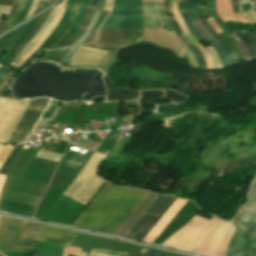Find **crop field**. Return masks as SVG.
Returning a JSON list of instances; mask_svg holds the SVG:
<instances>
[{"instance_id": "obj_1", "label": "crop field", "mask_w": 256, "mask_h": 256, "mask_svg": "<svg viewBox=\"0 0 256 256\" xmlns=\"http://www.w3.org/2000/svg\"><path fill=\"white\" fill-rule=\"evenodd\" d=\"M146 193L106 183L72 226L113 235Z\"/></svg>"}, {"instance_id": "obj_2", "label": "crop field", "mask_w": 256, "mask_h": 256, "mask_svg": "<svg viewBox=\"0 0 256 256\" xmlns=\"http://www.w3.org/2000/svg\"><path fill=\"white\" fill-rule=\"evenodd\" d=\"M103 155V154H102ZM100 153L94 152L93 156L74 179V181L66 188L63 194L75 199L76 201L86 205L97 190L102 186L104 181L95 175L97 164L104 157Z\"/></svg>"}, {"instance_id": "obj_3", "label": "crop field", "mask_w": 256, "mask_h": 256, "mask_svg": "<svg viewBox=\"0 0 256 256\" xmlns=\"http://www.w3.org/2000/svg\"><path fill=\"white\" fill-rule=\"evenodd\" d=\"M193 1L194 3L192 4ZM199 3L200 0H186V8L189 12L192 22L196 26L197 30L202 34V36L208 40L216 49L221 59L222 67L228 64H230V66L233 65L236 63V61L232 55L229 45L220 36L217 35V33L212 29L206 19H204L199 8ZM225 55L228 60L226 59Z\"/></svg>"}, {"instance_id": "obj_4", "label": "crop field", "mask_w": 256, "mask_h": 256, "mask_svg": "<svg viewBox=\"0 0 256 256\" xmlns=\"http://www.w3.org/2000/svg\"><path fill=\"white\" fill-rule=\"evenodd\" d=\"M240 224L256 227V214L247 213ZM241 225L229 243V256H256V228Z\"/></svg>"}, {"instance_id": "obj_5", "label": "crop field", "mask_w": 256, "mask_h": 256, "mask_svg": "<svg viewBox=\"0 0 256 256\" xmlns=\"http://www.w3.org/2000/svg\"><path fill=\"white\" fill-rule=\"evenodd\" d=\"M30 101L31 100L25 102H18L15 106V101L0 98V131L2 130L5 122L7 121L15 106L12 114L10 115L7 123L5 124L3 130L0 133L1 143L8 144Z\"/></svg>"}, {"instance_id": "obj_6", "label": "crop field", "mask_w": 256, "mask_h": 256, "mask_svg": "<svg viewBox=\"0 0 256 256\" xmlns=\"http://www.w3.org/2000/svg\"><path fill=\"white\" fill-rule=\"evenodd\" d=\"M176 199L173 196L161 195L127 238L143 241Z\"/></svg>"}, {"instance_id": "obj_7", "label": "crop field", "mask_w": 256, "mask_h": 256, "mask_svg": "<svg viewBox=\"0 0 256 256\" xmlns=\"http://www.w3.org/2000/svg\"><path fill=\"white\" fill-rule=\"evenodd\" d=\"M47 101L48 99L32 100L25 116L23 117L16 131L17 135L12 144L26 141L29 132L34 127L38 118L43 112Z\"/></svg>"}, {"instance_id": "obj_8", "label": "crop field", "mask_w": 256, "mask_h": 256, "mask_svg": "<svg viewBox=\"0 0 256 256\" xmlns=\"http://www.w3.org/2000/svg\"><path fill=\"white\" fill-rule=\"evenodd\" d=\"M158 196L159 194L148 192L114 235L125 237Z\"/></svg>"}, {"instance_id": "obj_9", "label": "crop field", "mask_w": 256, "mask_h": 256, "mask_svg": "<svg viewBox=\"0 0 256 256\" xmlns=\"http://www.w3.org/2000/svg\"><path fill=\"white\" fill-rule=\"evenodd\" d=\"M144 39L142 31L128 30H101L99 29L98 38L102 42L111 43H131Z\"/></svg>"}, {"instance_id": "obj_10", "label": "crop field", "mask_w": 256, "mask_h": 256, "mask_svg": "<svg viewBox=\"0 0 256 256\" xmlns=\"http://www.w3.org/2000/svg\"><path fill=\"white\" fill-rule=\"evenodd\" d=\"M107 51L79 47L68 65L98 66Z\"/></svg>"}, {"instance_id": "obj_11", "label": "crop field", "mask_w": 256, "mask_h": 256, "mask_svg": "<svg viewBox=\"0 0 256 256\" xmlns=\"http://www.w3.org/2000/svg\"><path fill=\"white\" fill-rule=\"evenodd\" d=\"M75 235H76L75 232L45 226V228L43 229L38 239L63 245V246H67L71 244Z\"/></svg>"}, {"instance_id": "obj_12", "label": "crop field", "mask_w": 256, "mask_h": 256, "mask_svg": "<svg viewBox=\"0 0 256 256\" xmlns=\"http://www.w3.org/2000/svg\"><path fill=\"white\" fill-rule=\"evenodd\" d=\"M101 28L142 30V17L108 16Z\"/></svg>"}, {"instance_id": "obj_13", "label": "crop field", "mask_w": 256, "mask_h": 256, "mask_svg": "<svg viewBox=\"0 0 256 256\" xmlns=\"http://www.w3.org/2000/svg\"><path fill=\"white\" fill-rule=\"evenodd\" d=\"M164 10H165V14L172 26V28L174 29V31L176 32L177 36L179 37V39L187 46V48L193 53V55L195 56L198 66L199 67H203L206 68L205 62L203 60V57L200 53V51L197 49V47L190 41L188 40L182 33L181 29L179 28L177 22L175 21L171 9H170V5L169 4H164Z\"/></svg>"}, {"instance_id": "obj_14", "label": "crop field", "mask_w": 256, "mask_h": 256, "mask_svg": "<svg viewBox=\"0 0 256 256\" xmlns=\"http://www.w3.org/2000/svg\"><path fill=\"white\" fill-rule=\"evenodd\" d=\"M110 15L142 16L141 0H114Z\"/></svg>"}, {"instance_id": "obj_15", "label": "crop field", "mask_w": 256, "mask_h": 256, "mask_svg": "<svg viewBox=\"0 0 256 256\" xmlns=\"http://www.w3.org/2000/svg\"><path fill=\"white\" fill-rule=\"evenodd\" d=\"M60 6L61 5L59 3L57 6H55L52 9V11H51L50 15L48 16V18L46 19L44 25L41 27V29L38 31V33L33 37V39L26 45V47L17 55V57L15 58V60L13 61V63L11 65L16 67V65L20 62V60L25 55V53L41 38V36L44 34L46 29L50 26L51 22L56 17Z\"/></svg>"}, {"instance_id": "obj_16", "label": "crop field", "mask_w": 256, "mask_h": 256, "mask_svg": "<svg viewBox=\"0 0 256 256\" xmlns=\"http://www.w3.org/2000/svg\"><path fill=\"white\" fill-rule=\"evenodd\" d=\"M255 210H256V179L250 186V195H249L248 204L241 208L238 215L234 220L231 221V223L237 226L247 212L254 213Z\"/></svg>"}, {"instance_id": "obj_17", "label": "crop field", "mask_w": 256, "mask_h": 256, "mask_svg": "<svg viewBox=\"0 0 256 256\" xmlns=\"http://www.w3.org/2000/svg\"><path fill=\"white\" fill-rule=\"evenodd\" d=\"M143 7V27L160 26L155 3H142Z\"/></svg>"}, {"instance_id": "obj_18", "label": "crop field", "mask_w": 256, "mask_h": 256, "mask_svg": "<svg viewBox=\"0 0 256 256\" xmlns=\"http://www.w3.org/2000/svg\"><path fill=\"white\" fill-rule=\"evenodd\" d=\"M73 7H67L65 10V13L63 15V18L58 23L57 27L51 32V34L47 37V39L44 41V43L40 46V48L33 53V55L28 60H34L35 56L42 50L45 49V47L48 45V43L63 29L70 13Z\"/></svg>"}, {"instance_id": "obj_19", "label": "crop field", "mask_w": 256, "mask_h": 256, "mask_svg": "<svg viewBox=\"0 0 256 256\" xmlns=\"http://www.w3.org/2000/svg\"><path fill=\"white\" fill-rule=\"evenodd\" d=\"M177 6H178V9H179V12L182 16V18L184 19L185 23L187 24L190 32L194 35V37L199 40L201 38H203L199 32L196 30V28L194 27V25L192 24L190 18H189V15H188V12L185 8V1L184 0H178L177 1Z\"/></svg>"}, {"instance_id": "obj_20", "label": "crop field", "mask_w": 256, "mask_h": 256, "mask_svg": "<svg viewBox=\"0 0 256 256\" xmlns=\"http://www.w3.org/2000/svg\"><path fill=\"white\" fill-rule=\"evenodd\" d=\"M50 12L47 11L45 13L42 14L41 18L39 19V21L36 23V25L32 28V30L30 31L28 37L23 41V43L18 47V49L15 51V53L13 54V56L10 58L9 62L11 64V62L13 61L14 57L25 47V45L32 39V37L37 33V31L39 30V28L41 27V25L43 24V22L45 21L48 13Z\"/></svg>"}, {"instance_id": "obj_21", "label": "crop field", "mask_w": 256, "mask_h": 256, "mask_svg": "<svg viewBox=\"0 0 256 256\" xmlns=\"http://www.w3.org/2000/svg\"><path fill=\"white\" fill-rule=\"evenodd\" d=\"M94 10H91V9H88L77 32L74 34V36L68 40L65 44H63L61 46V48L63 47H69L75 40H77L85 31L90 19H91V16H92V13H93Z\"/></svg>"}, {"instance_id": "obj_22", "label": "crop field", "mask_w": 256, "mask_h": 256, "mask_svg": "<svg viewBox=\"0 0 256 256\" xmlns=\"http://www.w3.org/2000/svg\"><path fill=\"white\" fill-rule=\"evenodd\" d=\"M238 36L242 39L244 44L246 45L252 61L256 59V37L254 34H241L237 30L235 31Z\"/></svg>"}, {"instance_id": "obj_23", "label": "crop field", "mask_w": 256, "mask_h": 256, "mask_svg": "<svg viewBox=\"0 0 256 256\" xmlns=\"http://www.w3.org/2000/svg\"><path fill=\"white\" fill-rule=\"evenodd\" d=\"M28 24V23H27ZM23 25L22 27L18 28L17 30L3 36L0 38V53L2 52V50L5 48L7 42L9 41L10 37L12 36L8 46L6 49H10L12 47V45L16 42V40L19 38V36L21 35L23 29L25 28V26L27 25ZM5 50V49H4Z\"/></svg>"}, {"instance_id": "obj_24", "label": "crop field", "mask_w": 256, "mask_h": 256, "mask_svg": "<svg viewBox=\"0 0 256 256\" xmlns=\"http://www.w3.org/2000/svg\"><path fill=\"white\" fill-rule=\"evenodd\" d=\"M79 8L74 7L73 11L70 15V18L67 22V24L65 25L64 29L50 42V44L46 47V49H52L56 43L69 31L71 25L74 22L75 16L78 12Z\"/></svg>"}, {"instance_id": "obj_25", "label": "crop field", "mask_w": 256, "mask_h": 256, "mask_svg": "<svg viewBox=\"0 0 256 256\" xmlns=\"http://www.w3.org/2000/svg\"><path fill=\"white\" fill-rule=\"evenodd\" d=\"M87 9H84V8H81L78 15H77V18H76V21L73 25V27L71 28V30L57 43V45L53 48V49H56V48H60V46L65 43L68 39H70L73 34L75 33L77 27L79 26L85 12H86Z\"/></svg>"}, {"instance_id": "obj_26", "label": "crop field", "mask_w": 256, "mask_h": 256, "mask_svg": "<svg viewBox=\"0 0 256 256\" xmlns=\"http://www.w3.org/2000/svg\"><path fill=\"white\" fill-rule=\"evenodd\" d=\"M121 256H182V255L145 248L141 250L140 255L132 254V253H122Z\"/></svg>"}, {"instance_id": "obj_27", "label": "crop field", "mask_w": 256, "mask_h": 256, "mask_svg": "<svg viewBox=\"0 0 256 256\" xmlns=\"http://www.w3.org/2000/svg\"><path fill=\"white\" fill-rule=\"evenodd\" d=\"M43 228H44L43 225L35 224V226L29 232V234L26 238L25 244L23 243L24 245L22 247L31 249L35 240L37 239V237L39 236V234Z\"/></svg>"}, {"instance_id": "obj_28", "label": "crop field", "mask_w": 256, "mask_h": 256, "mask_svg": "<svg viewBox=\"0 0 256 256\" xmlns=\"http://www.w3.org/2000/svg\"><path fill=\"white\" fill-rule=\"evenodd\" d=\"M38 2H39V0H33V3H32V0H27L25 5H24V7H23V10H22V12H21V14H20V16L18 18V20L16 19L17 21H16V23L14 25H16L19 22L23 21V19L25 18V15H26V13H27L31 3H32V5H31V8H30V10L28 11V13L26 15V18L32 16V14H33V12H34Z\"/></svg>"}, {"instance_id": "obj_29", "label": "crop field", "mask_w": 256, "mask_h": 256, "mask_svg": "<svg viewBox=\"0 0 256 256\" xmlns=\"http://www.w3.org/2000/svg\"><path fill=\"white\" fill-rule=\"evenodd\" d=\"M101 11L95 10L94 14L92 16V19L85 31V33L72 45V46H76V45H82V43L85 41V39L88 37L89 33L91 32L93 26L95 25L96 21L98 20L99 16H100Z\"/></svg>"}, {"instance_id": "obj_30", "label": "crop field", "mask_w": 256, "mask_h": 256, "mask_svg": "<svg viewBox=\"0 0 256 256\" xmlns=\"http://www.w3.org/2000/svg\"><path fill=\"white\" fill-rule=\"evenodd\" d=\"M22 146H23V144L15 146V148L12 150V152L9 154L6 161L2 165V167L0 169L1 174H4V172L7 170V168L10 166V164L12 163V161L14 160V158L16 157V155L18 154V152L22 148Z\"/></svg>"}, {"instance_id": "obj_31", "label": "crop field", "mask_w": 256, "mask_h": 256, "mask_svg": "<svg viewBox=\"0 0 256 256\" xmlns=\"http://www.w3.org/2000/svg\"><path fill=\"white\" fill-rule=\"evenodd\" d=\"M229 35H230V36L234 39V41L236 42V44H237V46H238V48H239V50H240V52H241V54H242V56H243V59H244L245 61H251L250 55H249V53H248V51H247L245 45H244L243 42L240 40V38L237 36V34L233 32V33H231V34H229Z\"/></svg>"}, {"instance_id": "obj_32", "label": "crop field", "mask_w": 256, "mask_h": 256, "mask_svg": "<svg viewBox=\"0 0 256 256\" xmlns=\"http://www.w3.org/2000/svg\"><path fill=\"white\" fill-rule=\"evenodd\" d=\"M219 35L230 45L236 60H239L240 58H242L233 39L225 32H223Z\"/></svg>"}, {"instance_id": "obj_33", "label": "crop field", "mask_w": 256, "mask_h": 256, "mask_svg": "<svg viewBox=\"0 0 256 256\" xmlns=\"http://www.w3.org/2000/svg\"><path fill=\"white\" fill-rule=\"evenodd\" d=\"M24 3H25V0H20L19 5L16 8L15 12L13 13V15L11 16V18L8 21H6L5 26H4L3 30H2V32L12 26L14 20L16 19V17L18 16L19 12L21 11Z\"/></svg>"}, {"instance_id": "obj_34", "label": "crop field", "mask_w": 256, "mask_h": 256, "mask_svg": "<svg viewBox=\"0 0 256 256\" xmlns=\"http://www.w3.org/2000/svg\"><path fill=\"white\" fill-rule=\"evenodd\" d=\"M157 10H158L159 17H160L162 23L164 24L165 28L167 29V31L172 32L173 30L170 27V25L165 17L164 11H163V3H157Z\"/></svg>"}, {"instance_id": "obj_35", "label": "crop field", "mask_w": 256, "mask_h": 256, "mask_svg": "<svg viewBox=\"0 0 256 256\" xmlns=\"http://www.w3.org/2000/svg\"><path fill=\"white\" fill-rule=\"evenodd\" d=\"M206 50L209 52V54L212 57V61H213L215 70H221L222 67H221L220 60H219V57H218L216 51L213 49V47L206 48Z\"/></svg>"}, {"instance_id": "obj_36", "label": "crop field", "mask_w": 256, "mask_h": 256, "mask_svg": "<svg viewBox=\"0 0 256 256\" xmlns=\"http://www.w3.org/2000/svg\"><path fill=\"white\" fill-rule=\"evenodd\" d=\"M93 47L108 49V50H118L119 44H104L99 42L92 43Z\"/></svg>"}, {"instance_id": "obj_37", "label": "crop field", "mask_w": 256, "mask_h": 256, "mask_svg": "<svg viewBox=\"0 0 256 256\" xmlns=\"http://www.w3.org/2000/svg\"><path fill=\"white\" fill-rule=\"evenodd\" d=\"M57 103L58 102L51 100L50 104L48 105V107L42 117L50 119L55 110Z\"/></svg>"}, {"instance_id": "obj_38", "label": "crop field", "mask_w": 256, "mask_h": 256, "mask_svg": "<svg viewBox=\"0 0 256 256\" xmlns=\"http://www.w3.org/2000/svg\"><path fill=\"white\" fill-rule=\"evenodd\" d=\"M201 10L205 18L211 17V14L207 7V0H201Z\"/></svg>"}, {"instance_id": "obj_39", "label": "crop field", "mask_w": 256, "mask_h": 256, "mask_svg": "<svg viewBox=\"0 0 256 256\" xmlns=\"http://www.w3.org/2000/svg\"><path fill=\"white\" fill-rule=\"evenodd\" d=\"M78 47L68 48L65 54L62 56L61 61L68 62L70 55H72Z\"/></svg>"}, {"instance_id": "obj_40", "label": "crop field", "mask_w": 256, "mask_h": 256, "mask_svg": "<svg viewBox=\"0 0 256 256\" xmlns=\"http://www.w3.org/2000/svg\"><path fill=\"white\" fill-rule=\"evenodd\" d=\"M185 56L187 57L190 66H193V67H197V68H198L197 63H196V61H195L193 55H192L189 51H188V52H185Z\"/></svg>"}, {"instance_id": "obj_41", "label": "crop field", "mask_w": 256, "mask_h": 256, "mask_svg": "<svg viewBox=\"0 0 256 256\" xmlns=\"http://www.w3.org/2000/svg\"><path fill=\"white\" fill-rule=\"evenodd\" d=\"M208 7L213 17L217 16L216 10H215V0H209L208 1Z\"/></svg>"}, {"instance_id": "obj_42", "label": "crop field", "mask_w": 256, "mask_h": 256, "mask_svg": "<svg viewBox=\"0 0 256 256\" xmlns=\"http://www.w3.org/2000/svg\"><path fill=\"white\" fill-rule=\"evenodd\" d=\"M232 3V8H233V13L234 14H239V5H238V0H231Z\"/></svg>"}, {"instance_id": "obj_43", "label": "crop field", "mask_w": 256, "mask_h": 256, "mask_svg": "<svg viewBox=\"0 0 256 256\" xmlns=\"http://www.w3.org/2000/svg\"><path fill=\"white\" fill-rule=\"evenodd\" d=\"M37 157H41V158H45V159H49V160H53V161H57V162L59 160L58 157L49 156V155H45V154H41V153H38Z\"/></svg>"}, {"instance_id": "obj_44", "label": "crop field", "mask_w": 256, "mask_h": 256, "mask_svg": "<svg viewBox=\"0 0 256 256\" xmlns=\"http://www.w3.org/2000/svg\"><path fill=\"white\" fill-rule=\"evenodd\" d=\"M10 8L11 7H9V6H0V14L8 15Z\"/></svg>"}, {"instance_id": "obj_45", "label": "crop field", "mask_w": 256, "mask_h": 256, "mask_svg": "<svg viewBox=\"0 0 256 256\" xmlns=\"http://www.w3.org/2000/svg\"><path fill=\"white\" fill-rule=\"evenodd\" d=\"M66 51V49H62V50H58V52H57V54H56V56H55V58H54V60L53 61H59V59L61 58V56L63 55V53Z\"/></svg>"}, {"instance_id": "obj_46", "label": "crop field", "mask_w": 256, "mask_h": 256, "mask_svg": "<svg viewBox=\"0 0 256 256\" xmlns=\"http://www.w3.org/2000/svg\"><path fill=\"white\" fill-rule=\"evenodd\" d=\"M9 69L2 66V68L0 69V80L5 76V74L9 71Z\"/></svg>"}, {"instance_id": "obj_47", "label": "crop field", "mask_w": 256, "mask_h": 256, "mask_svg": "<svg viewBox=\"0 0 256 256\" xmlns=\"http://www.w3.org/2000/svg\"><path fill=\"white\" fill-rule=\"evenodd\" d=\"M112 5V0H106L104 9L105 10H110Z\"/></svg>"}, {"instance_id": "obj_48", "label": "crop field", "mask_w": 256, "mask_h": 256, "mask_svg": "<svg viewBox=\"0 0 256 256\" xmlns=\"http://www.w3.org/2000/svg\"><path fill=\"white\" fill-rule=\"evenodd\" d=\"M105 0H97V4L95 8L102 9L104 5Z\"/></svg>"}, {"instance_id": "obj_49", "label": "crop field", "mask_w": 256, "mask_h": 256, "mask_svg": "<svg viewBox=\"0 0 256 256\" xmlns=\"http://www.w3.org/2000/svg\"><path fill=\"white\" fill-rule=\"evenodd\" d=\"M89 256H103V254L91 251ZM104 256H112V255L104 254Z\"/></svg>"}, {"instance_id": "obj_50", "label": "crop field", "mask_w": 256, "mask_h": 256, "mask_svg": "<svg viewBox=\"0 0 256 256\" xmlns=\"http://www.w3.org/2000/svg\"><path fill=\"white\" fill-rule=\"evenodd\" d=\"M8 89H9V88H8L7 84H6L5 86L1 87V88H0V96H1L3 93H5Z\"/></svg>"}, {"instance_id": "obj_51", "label": "crop field", "mask_w": 256, "mask_h": 256, "mask_svg": "<svg viewBox=\"0 0 256 256\" xmlns=\"http://www.w3.org/2000/svg\"><path fill=\"white\" fill-rule=\"evenodd\" d=\"M56 52H57V50L51 51L50 54H49V56H48V58H47V60H53V58H54Z\"/></svg>"}, {"instance_id": "obj_52", "label": "crop field", "mask_w": 256, "mask_h": 256, "mask_svg": "<svg viewBox=\"0 0 256 256\" xmlns=\"http://www.w3.org/2000/svg\"><path fill=\"white\" fill-rule=\"evenodd\" d=\"M18 2H19V0H15L14 5H13V8H12L10 14H9V18H10V16H11L12 12L14 11V9L16 8Z\"/></svg>"}, {"instance_id": "obj_53", "label": "crop field", "mask_w": 256, "mask_h": 256, "mask_svg": "<svg viewBox=\"0 0 256 256\" xmlns=\"http://www.w3.org/2000/svg\"><path fill=\"white\" fill-rule=\"evenodd\" d=\"M96 0H90L89 7L94 8L95 7Z\"/></svg>"}, {"instance_id": "obj_54", "label": "crop field", "mask_w": 256, "mask_h": 256, "mask_svg": "<svg viewBox=\"0 0 256 256\" xmlns=\"http://www.w3.org/2000/svg\"><path fill=\"white\" fill-rule=\"evenodd\" d=\"M89 4V0H84L81 7H87Z\"/></svg>"}, {"instance_id": "obj_55", "label": "crop field", "mask_w": 256, "mask_h": 256, "mask_svg": "<svg viewBox=\"0 0 256 256\" xmlns=\"http://www.w3.org/2000/svg\"><path fill=\"white\" fill-rule=\"evenodd\" d=\"M74 4H75V0H69L67 5L74 6Z\"/></svg>"}, {"instance_id": "obj_56", "label": "crop field", "mask_w": 256, "mask_h": 256, "mask_svg": "<svg viewBox=\"0 0 256 256\" xmlns=\"http://www.w3.org/2000/svg\"><path fill=\"white\" fill-rule=\"evenodd\" d=\"M81 2H82V0H76V5L75 6H80Z\"/></svg>"}, {"instance_id": "obj_57", "label": "crop field", "mask_w": 256, "mask_h": 256, "mask_svg": "<svg viewBox=\"0 0 256 256\" xmlns=\"http://www.w3.org/2000/svg\"><path fill=\"white\" fill-rule=\"evenodd\" d=\"M4 23H5V21H0V32H1V29H2V27L4 25Z\"/></svg>"}, {"instance_id": "obj_58", "label": "crop field", "mask_w": 256, "mask_h": 256, "mask_svg": "<svg viewBox=\"0 0 256 256\" xmlns=\"http://www.w3.org/2000/svg\"><path fill=\"white\" fill-rule=\"evenodd\" d=\"M249 1L254 2V1H256V0H249Z\"/></svg>"}, {"instance_id": "obj_59", "label": "crop field", "mask_w": 256, "mask_h": 256, "mask_svg": "<svg viewBox=\"0 0 256 256\" xmlns=\"http://www.w3.org/2000/svg\"><path fill=\"white\" fill-rule=\"evenodd\" d=\"M0 67H1V65H0Z\"/></svg>"}]
</instances>
